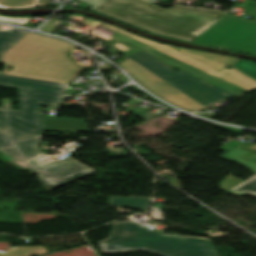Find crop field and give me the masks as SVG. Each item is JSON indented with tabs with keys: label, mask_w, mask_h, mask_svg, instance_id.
Instances as JSON below:
<instances>
[{
	"label": "crop field",
	"mask_w": 256,
	"mask_h": 256,
	"mask_svg": "<svg viewBox=\"0 0 256 256\" xmlns=\"http://www.w3.org/2000/svg\"><path fill=\"white\" fill-rule=\"evenodd\" d=\"M123 51L126 46L115 43ZM146 88L183 108L196 109L236 96L183 70L172 71L166 62L142 50L120 64Z\"/></svg>",
	"instance_id": "obj_1"
},
{
	"label": "crop field",
	"mask_w": 256,
	"mask_h": 256,
	"mask_svg": "<svg viewBox=\"0 0 256 256\" xmlns=\"http://www.w3.org/2000/svg\"><path fill=\"white\" fill-rule=\"evenodd\" d=\"M94 12L152 33L189 42L228 13L181 7L161 9L146 0H106Z\"/></svg>",
	"instance_id": "obj_2"
},
{
	"label": "crop field",
	"mask_w": 256,
	"mask_h": 256,
	"mask_svg": "<svg viewBox=\"0 0 256 256\" xmlns=\"http://www.w3.org/2000/svg\"><path fill=\"white\" fill-rule=\"evenodd\" d=\"M73 48L65 41L27 33L3 53L4 74L68 84L81 72L70 56Z\"/></svg>",
	"instance_id": "obj_3"
},
{
	"label": "crop field",
	"mask_w": 256,
	"mask_h": 256,
	"mask_svg": "<svg viewBox=\"0 0 256 256\" xmlns=\"http://www.w3.org/2000/svg\"><path fill=\"white\" fill-rule=\"evenodd\" d=\"M135 222H115L109 239L100 241L102 254L149 251L162 256H219L209 239L157 233Z\"/></svg>",
	"instance_id": "obj_4"
},
{
	"label": "crop field",
	"mask_w": 256,
	"mask_h": 256,
	"mask_svg": "<svg viewBox=\"0 0 256 256\" xmlns=\"http://www.w3.org/2000/svg\"><path fill=\"white\" fill-rule=\"evenodd\" d=\"M0 86L19 90L21 110H8L11 142L43 133L40 106L51 109L70 97L63 94L69 85L3 75Z\"/></svg>",
	"instance_id": "obj_5"
},
{
	"label": "crop field",
	"mask_w": 256,
	"mask_h": 256,
	"mask_svg": "<svg viewBox=\"0 0 256 256\" xmlns=\"http://www.w3.org/2000/svg\"><path fill=\"white\" fill-rule=\"evenodd\" d=\"M193 42L256 55V20L226 15Z\"/></svg>",
	"instance_id": "obj_6"
},
{
	"label": "crop field",
	"mask_w": 256,
	"mask_h": 256,
	"mask_svg": "<svg viewBox=\"0 0 256 256\" xmlns=\"http://www.w3.org/2000/svg\"><path fill=\"white\" fill-rule=\"evenodd\" d=\"M28 164L36 174L42 176L41 183L48 192L64 186L62 184L64 182L76 181L96 172L95 170L77 162L69 156L63 161H57L41 170L29 162Z\"/></svg>",
	"instance_id": "obj_7"
},
{
	"label": "crop field",
	"mask_w": 256,
	"mask_h": 256,
	"mask_svg": "<svg viewBox=\"0 0 256 256\" xmlns=\"http://www.w3.org/2000/svg\"><path fill=\"white\" fill-rule=\"evenodd\" d=\"M221 149L229 151L221 158L237 162L256 173V145L233 140Z\"/></svg>",
	"instance_id": "obj_8"
},
{
	"label": "crop field",
	"mask_w": 256,
	"mask_h": 256,
	"mask_svg": "<svg viewBox=\"0 0 256 256\" xmlns=\"http://www.w3.org/2000/svg\"><path fill=\"white\" fill-rule=\"evenodd\" d=\"M40 142V135L32 138H28L22 141L13 143L14 147L23 156L25 161L30 160L40 154H43L40 150L36 148V144Z\"/></svg>",
	"instance_id": "obj_9"
},
{
	"label": "crop field",
	"mask_w": 256,
	"mask_h": 256,
	"mask_svg": "<svg viewBox=\"0 0 256 256\" xmlns=\"http://www.w3.org/2000/svg\"><path fill=\"white\" fill-rule=\"evenodd\" d=\"M27 32L17 30L15 28H8L6 30L0 29V63L1 55L10 46H12L16 41H18Z\"/></svg>",
	"instance_id": "obj_10"
},
{
	"label": "crop field",
	"mask_w": 256,
	"mask_h": 256,
	"mask_svg": "<svg viewBox=\"0 0 256 256\" xmlns=\"http://www.w3.org/2000/svg\"><path fill=\"white\" fill-rule=\"evenodd\" d=\"M151 198L113 197L110 204L147 210Z\"/></svg>",
	"instance_id": "obj_11"
},
{
	"label": "crop field",
	"mask_w": 256,
	"mask_h": 256,
	"mask_svg": "<svg viewBox=\"0 0 256 256\" xmlns=\"http://www.w3.org/2000/svg\"><path fill=\"white\" fill-rule=\"evenodd\" d=\"M48 251L43 246L37 247H11L6 252H0V256H31Z\"/></svg>",
	"instance_id": "obj_12"
},
{
	"label": "crop field",
	"mask_w": 256,
	"mask_h": 256,
	"mask_svg": "<svg viewBox=\"0 0 256 256\" xmlns=\"http://www.w3.org/2000/svg\"><path fill=\"white\" fill-rule=\"evenodd\" d=\"M47 0H0L2 8H25L35 6H45Z\"/></svg>",
	"instance_id": "obj_13"
},
{
	"label": "crop field",
	"mask_w": 256,
	"mask_h": 256,
	"mask_svg": "<svg viewBox=\"0 0 256 256\" xmlns=\"http://www.w3.org/2000/svg\"><path fill=\"white\" fill-rule=\"evenodd\" d=\"M7 109H10L9 99H2V107H0V132L10 137Z\"/></svg>",
	"instance_id": "obj_14"
},
{
	"label": "crop field",
	"mask_w": 256,
	"mask_h": 256,
	"mask_svg": "<svg viewBox=\"0 0 256 256\" xmlns=\"http://www.w3.org/2000/svg\"><path fill=\"white\" fill-rule=\"evenodd\" d=\"M229 192H233V193H237V194H242L244 192H247V193L256 195V175H254L253 177H251L244 183L240 184L239 186L233 188Z\"/></svg>",
	"instance_id": "obj_15"
},
{
	"label": "crop field",
	"mask_w": 256,
	"mask_h": 256,
	"mask_svg": "<svg viewBox=\"0 0 256 256\" xmlns=\"http://www.w3.org/2000/svg\"><path fill=\"white\" fill-rule=\"evenodd\" d=\"M235 67L241 69L245 73L249 74L256 79V64L247 60L241 59L235 65Z\"/></svg>",
	"instance_id": "obj_16"
},
{
	"label": "crop field",
	"mask_w": 256,
	"mask_h": 256,
	"mask_svg": "<svg viewBox=\"0 0 256 256\" xmlns=\"http://www.w3.org/2000/svg\"><path fill=\"white\" fill-rule=\"evenodd\" d=\"M242 182H243L242 180L230 175L229 177H227L225 180L221 182V187L223 190L228 191Z\"/></svg>",
	"instance_id": "obj_17"
},
{
	"label": "crop field",
	"mask_w": 256,
	"mask_h": 256,
	"mask_svg": "<svg viewBox=\"0 0 256 256\" xmlns=\"http://www.w3.org/2000/svg\"><path fill=\"white\" fill-rule=\"evenodd\" d=\"M132 113H134L135 115L147 120L155 115L151 114L148 110L143 109L141 107H136Z\"/></svg>",
	"instance_id": "obj_18"
},
{
	"label": "crop field",
	"mask_w": 256,
	"mask_h": 256,
	"mask_svg": "<svg viewBox=\"0 0 256 256\" xmlns=\"http://www.w3.org/2000/svg\"><path fill=\"white\" fill-rule=\"evenodd\" d=\"M31 17H26V18H14V17H6V16H0V21H6V22H11V23H23L25 24L27 21H29Z\"/></svg>",
	"instance_id": "obj_19"
},
{
	"label": "crop field",
	"mask_w": 256,
	"mask_h": 256,
	"mask_svg": "<svg viewBox=\"0 0 256 256\" xmlns=\"http://www.w3.org/2000/svg\"><path fill=\"white\" fill-rule=\"evenodd\" d=\"M0 150L5 152L6 154L12 156V157H15V158H18V159L24 161L22 156L17 152V150L15 148L1 147Z\"/></svg>",
	"instance_id": "obj_20"
},
{
	"label": "crop field",
	"mask_w": 256,
	"mask_h": 256,
	"mask_svg": "<svg viewBox=\"0 0 256 256\" xmlns=\"http://www.w3.org/2000/svg\"><path fill=\"white\" fill-rule=\"evenodd\" d=\"M0 146L13 147L10 138L0 133Z\"/></svg>",
	"instance_id": "obj_21"
}]
</instances>
